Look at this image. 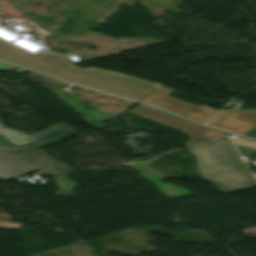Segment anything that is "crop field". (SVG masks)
I'll return each instance as SVG.
<instances>
[{
  "label": "crop field",
  "mask_w": 256,
  "mask_h": 256,
  "mask_svg": "<svg viewBox=\"0 0 256 256\" xmlns=\"http://www.w3.org/2000/svg\"><path fill=\"white\" fill-rule=\"evenodd\" d=\"M244 135L256 138V125L252 127L250 130H248Z\"/></svg>",
  "instance_id": "10"
},
{
  "label": "crop field",
  "mask_w": 256,
  "mask_h": 256,
  "mask_svg": "<svg viewBox=\"0 0 256 256\" xmlns=\"http://www.w3.org/2000/svg\"><path fill=\"white\" fill-rule=\"evenodd\" d=\"M0 59L35 69L63 80L110 92L134 100H142L162 86L130 77L121 72L98 68H80L61 55L44 51L36 57L0 40Z\"/></svg>",
  "instance_id": "1"
},
{
  "label": "crop field",
  "mask_w": 256,
  "mask_h": 256,
  "mask_svg": "<svg viewBox=\"0 0 256 256\" xmlns=\"http://www.w3.org/2000/svg\"><path fill=\"white\" fill-rule=\"evenodd\" d=\"M236 148L241 156H247L256 153V142L231 136Z\"/></svg>",
  "instance_id": "8"
},
{
  "label": "crop field",
  "mask_w": 256,
  "mask_h": 256,
  "mask_svg": "<svg viewBox=\"0 0 256 256\" xmlns=\"http://www.w3.org/2000/svg\"><path fill=\"white\" fill-rule=\"evenodd\" d=\"M15 66H11V65H7V64H4V63H1L0 62V70H11L13 69Z\"/></svg>",
  "instance_id": "11"
},
{
  "label": "crop field",
  "mask_w": 256,
  "mask_h": 256,
  "mask_svg": "<svg viewBox=\"0 0 256 256\" xmlns=\"http://www.w3.org/2000/svg\"><path fill=\"white\" fill-rule=\"evenodd\" d=\"M192 155L202 180L219 193H229L256 186L229 139L187 148ZM216 151L215 153H211Z\"/></svg>",
  "instance_id": "2"
},
{
  "label": "crop field",
  "mask_w": 256,
  "mask_h": 256,
  "mask_svg": "<svg viewBox=\"0 0 256 256\" xmlns=\"http://www.w3.org/2000/svg\"><path fill=\"white\" fill-rule=\"evenodd\" d=\"M22 176H24L22 173L18 172L17 170L0 160V178L2 180L8 182Z\"/></svg>",
  "instance_id": "9"
},
{
  "label": "crop field",
  "mask_w": 256,
  "mask_h": 256,
  "mask_svg": "<svg viewBox=\"0 0 256 256\" xmlns=\"http://www.w3.org/2000/svg\"><path fill=\"white\" fill-rule=\"evenodd\" d=\"M208 124L243 135L256 124V110H224Z\"/></svg>",
  "instance_id": "7"
},
{
  "label": "crop field",
  "mask_w": 256,
  "mask_h": 256,
  "mask_svg": "<svg viewBox=\"0 0 256 256\" xmlns=\"http://www.w3.org/2000/svg\"><path fill=\"white\" fill-rule=\"evenodd\" d=\"M76 134L64 123L44 129L35 134L4 127L0 121V149L40 148Z\"/></svg>",
  "instance_id": "3"
},
{
  "label": "crop field",
  "mask_w": 256,
  "mask_h": 256,
  "mask_svg": "<svg viewBox=\"0 0 256 256\" xmlns=\"http://www.w3.org/2000/svg\"><path fill=\"white\" fill-rule=\"evenodd\" d=\"M130 113H133L135 115L144 117L146 119L169 126L171 128L183 131L185 134H187L189 137L192 138L188 142L184 143L185 145H189V144H193V143H197V142H201V141L226 135L225 133L191 123L181 118L164 113L162 111L145 107L142 105L138 106L137 108L132 110Z\"/></svg>",
  "instance_id": "5"
},
{
  "label": "crop field",
  "mask_w": 256,
  "mask_h": 256,
  "mask_svg": "<svg viewBox=\"0 0 256 256\" xmlns=\"http://www.w3.org/2000/svg\"><path fill=\"white\" fill-rule=\"evenodd\" d=\"M0 157L26 174L41 170L56 178L73 172L56 161H49V156L37 149L0 151Z\"/></svg>",
  "instance_id": "4"
},
{
  "label": "crop field",
  "mask_w": 256,
  "mask_h": 256,
  "mask_svg": "<svg viewBox=\"0 0 256 256\" xmlns=\"http://www.w3.org/2000/svg\"><path fill=\"white\" fill-rule=\"evenodd\" d=\"M172 92H174V90L162 86L141 102L160 106L164 109L202 123H205L209 117L218 111V109L206 105H192L190 103L171 98L168 95Z\"/></svg>",
  "instance_id": "6"
}]
</instances>
